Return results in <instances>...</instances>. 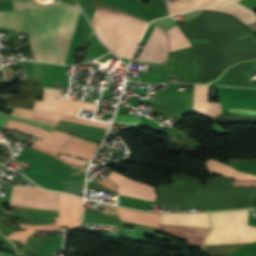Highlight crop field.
<instances>
[{
    "label": "crop field",
    "mask_w": 256,
    "mask_h": 256,
    "mask_svg": "<svg viewBox=\"0 0 256 256\" xmlns=\"http://www.w3.org/2000/svg\"><path fill=\"white\" fill-rule=\"evenodd\" d=\"M251 163L256 164V159L249 160Z\"/></svg>",
    "instance_id": "obj_24"
},
{
    "label": "crop field",
    "mask_w": 256,
    "mask_h": 256,
    "mask_svg": "<svg viewBox=\"0 0 256 256\" xmlns=\"http://www.w3.org/2000/svg\"><path fill=\"white\" fill-rule=\"evenodd\" d=\"M168 55V35L155 26L143 48L138 63L158 64L165 62Z\"/></svg>",
    "instance_id": "obj_6"
},
{
    "label": "crop field",
    "mask_w": 256,
    "mask_h": 256,
    "mask_svg": "<svg viewBox=\"0 0 256 256\" xmlns=\"http://www.w3.org/2000/svg\"><path fill=\"white\" fill-rule=\"evenodd\" d=\"M140 117L121 116L117 115L114 123H125V124H138Z\"/></svg>",
    "instance_id": "obj_21"
},
{
    "label": "crop field",
    "mask_w": 256,
    "mask_h": 256,
    "mask_svg": "<svg viewBox=\"0 0 256 256\" xmlns=\"http://www.w3.org/2000/svg\"><path fill=\"white\" fill-rule=\"evenodd\" d=\"M41 94V81L26 80L20 92L15 95L2 94V99L12 107L33 109L35 97Z\"/></svg>",
    "instance_id": "obj_7"
},
{
    "label": "crop field",
    "mask_w": 256,
    "mask_h": 256,
    "mask_svg": "<svg viewBox=\"0 0 256 256\" xmlns=\"http://www.w3.org/2000/svg\"><path fill=\"white\" fill-rule=\"evenodd\" d=\"M160 223L210 228L208 213L162 214Z\"/></svg>",
    "instance_id": "obj_13"
},
{
    "label": "crop field",
    "mask_w": 256,
    "mask_h": 256,
    "mask_svg": "<svg viewBox=\"0 0 256 256\" xmlns=\"http://www.w3.org/2000/svg\"><path fill=\"white\" fill-rule=\"evenodd\" d=\"M248 210L211 213L212 230L205 244L256 240V227L247 225Z\"/></svg>",
    "instance_id": "obj_4"
},
{
    "label": "crop field",
    "mask_w": 256,
    "mask_h": 256,
    "mask_svg": "<svg viewBox=\"0 0 256 256\" xmlns=\"http://www.w3.org/2000/svg\"><path fill=\"white\" fill-rule=\"evenodd\" d=\"M214 0H179L169 4L170 15L181 14L212 3Z\"/></svg>",
    "instance_id": "obj_17"
},
{
    "label": "crop field",
    "mask_w": 256,
    "mask_h": 256,
    "mask_svg": "<svg viewBox=\"0 0 256 256\" xmlns=\"http://www.w3.org/2000/svg\"><path fill=\"white\" fill-rule=\"evenodd\" d=\"M82 200L78 197L60 193L59 197V223L67 225L71 230L77 225L81 213Z\"/></svg>",
    "instance_id": "obj_8"
},
{
    "label": "crop field",
    "mask_w": 256,
    "mask_h": 256,
    "mask_svg": "<svg viewBox=\"0 0 256 256\" xmlns=\"http://www.w3.org/2000/svg\"><path fill=\"white\" fill-rule=\"evenodd\" d=\"M106 177L110 178L111 180L117 183L119 194L152 200V201H154L155 199V193H154L153 187L132 181L115 172H112Z\"/></svg>",
    "instance_id": "obj_9"
},
{
    "label": "crop field",
    "mask_w": 256,
    "mask_h": 256,
    "mask_svg": "<svg viewBox=\"0 0 256 256\" xmlns=\"http://www.w3.org/2000/svg\"><path fill=\"white\" fill-rule=\"evenodd\" d=\"M118 214L122 221L144 224L156 227L161 214L137 212L117 207Z\"/></svg>",
    "instance_id": "obj_15"
},
{
    "label": "crop field",
    "mask_w": 256,
    "mask_h": 256,
    "mask_svg": "<svg viewBox=\"0 0 256 256\" xmlns=\"http://www.w3.org/2000/svg\"><path fill=\"white\" fill-rule=\"evenodd\" d=\"M255 64L256 62H243L232 66L221 85L246 87Z\"/></svg>",
    "instance_id": "obj_14"
},
{
    "label": "crop field",
    "mask_w": 256,
    "mask_h": 256,
    "mask_svg": "<svg viewBox=\"0 0 256 256\" xmlns=\"http://www.w3.org/2000/svg\"><path fill=\"white\" fill-rule=\"evenodd\" d=\"M7 120H18V121H21V122H24V123H27L30 125L45 128L49 131H51L54 128V126H51V125H47L44 123H40V122L28 120V119L16 118L11 115H6V114H3L0 112V127H5Z\"/></svg>",
    "instance_id": "obj_19"
},
{
    "label": "crop field",
    "mask_w": 256,
    "mask_h": 256,
    "mask_svg": "<svg viewBox=\"0 0 256 256\" xmlns=\"http://www.w3.org/2000/svg\"><path fill=\"white\" fill-rule=\"evenodd\" d=\"M238 0H217L213 5L202 8L232 14L245 24L256 21V15L249 9L237 3Z\"/></svg>",
    "instance_id": "obj_12"
},
{
    "label": "crop field",
    "mask_w": 256,
    "mask_h": 256,
    "mask_svg": "<svg viewBox=\"0 0 256 256\" xmlns=\"http://www.w3.org/2000/svg\"><path fill=\"white\" fill-rule=\"evenodd\" d=\"M62 119L75 121V122H79V123H83V124H88V125H92V126H97V127H101V128H105V129H107L108 125H109L106 123H100V122H96V121H92V120H88V119H84V118H80V117L68 116V115H63Z\"/></svg>",
    "instance_id": "obj_20"
},
{
    "label": "crop field",
    "mask_w": 256,
    "mask_h": 256,
    "mask_svg": "<svg viewBox=\"0 0 256 256\" xmlns=\"http://www.w3.org/2000/svg\"><path fill=\"white\" fill-rule=\"evenodd\" d=\"M13 5L14 11H0V27L28 32L34 60L64 64L80 9L20 0H13Z\"/></svg>",
    "instance_id": "obj_1"
},
{
    "label": "crop field",
    "mask_w": 256,
    "mask_h": 256,
    "mask_svg": "<svg viewBox=\"0 0 256 256\" xmlns=\"http://www.w3.org/2000/svg\"><path fill=\"white\" fill-rule=\"evenodd\" d=\"M229 112H234V113L244 114V115H256V111H248V110L229 109Z\"/></svg>",
    "instance_id": "obj_22"
},
{
    "label": "crop field",
    "mask_w": 256,
    "mask_h": 256,
    "mask_svg": "<svg viewBox=\"0 0 256 256\" xmlns=\"http://www.w3.org/2000/svg\"><path fill=\"white\" fill-rule=\"evenodd\" d=\"M6 127L27 132L44 139L43 141L38 140L32 147L52 156L58 157L59 155L60 157L58 158L62 161L78 166L86 164L87 161L67 155H57L56 153L59 151L60 153L90 160L97 148V144L72 137L70 134L54 130L47 132L41 128L33 127L18 121H8Z\"/></svg>",
    "instance_id": "obj_2"
},
{
    "label": "crop field",
    "mask_w": 256,
    "mask_h": 256,
    "mask_svg": "<svg viewBox=\"0 0 256 256\" xmlns=\"http://www.w3.org/2000/svg\"><path fill=\"white\" fill-rule=\"evenodd\" d=\"M21 228L27 229L26 231H17L10 234L7 238L13 240L15 242L25 244L27 236L34 235V230H55L59 229L58 225V217H55V224L51 225H39V226H32V225H25V224H18Z\"/></svg>",
    "instance_id": "obj_16"
},
{
    "label": "crop field",
    "mask_w": 256,
    "mask_h": 256,
    "mask_svg": "<svg viewBox=\"0 0 256 256\" xmlns=\"http://www.w3.org/2000/svg\"><path fill=\"white\" fill-rule=\"evenodd\" d=\"M190 46L191 45L189 44V45L181 46V47H178V48L170 49L169 52L174 51V50H178V49H182V48H186V47H190Z\"/></svg>",
    "instance_id": "obj_23"
},
{
    "label": "crop field",
    "mask_w": 256,
    "mask_h": 256,
    "mask_svg": "<svg viewBox=\"0 0 256 256\" xmlns=\"http://www.w3.org/2000/svg\"><path fill=\"white\" fill-rule=\"evenodd\" d=\"M43 100L36 101L33 111L14 108L12 114L56 126L62 114L76 115L78 108L94 111L95 104L60 97L62 89L43 88Z\"/></svg>",
    "instance_id": "obj_3"
},
{
    "label": "crop field",
    "mask_w": 256,
    "mask_h": 256,
    "mask_svg": "<svg viewBox=\"0 0 256 256\" xmlns=\"http://www.w3.org/2000/svg\"><path fill=\"white\" fill-rule=\"evenodd\" d=\"M157 229L164 230L165 233H168L174 237L189 240L187 246L196 245L203 248V238L210 230L206 228L180 227L171 225H158Z\"/></svg>",
    "instance_id": "obj_11"
},
{
    "label": "crop field",
    "mask_w": 256,
    "mask_h": 256,
    "mask_svg": "<svg viewBox=\"0 0 256 256\" xmlns=\"http://www.w3.org/2000/svg\"><path fill=\"white\" fill-rule=\"evenodd\" d=\"M213 120L224 123H256V116H242L226 113L213 118Z\"/></svg>",
    "instance_id": "obj_18"
},
{
    "label": "crop field",
    "mask_w": 256,
    "mask_h": 256,
    "mask_svg": "<svg viewBox=\"0 0 256 256\" xmlns=\"http://www.w3.org/2000/svg\"><path fill=\"white\" fill-rule=\"evenodd\" d=\"M58 193L38 187L13 186L10 205L58 210Z\"/></svg>",
    "instance_id": "obj_5"
},
{
    "label": "crop field",
    "mask_w": 256,
    "mask_h": 256,
    "mask_svg": "<svg viewBox=\"0 0 256 256\" xmlns=\"http://www.w3.org/2000/svg\"><path fill=\"white\" fill-rule=\"evenodd\" d=\"M210 173L225 175L234 180V186L256 187V176L238 172L231 167L213 159L206 162Z\"/></svg>",
    "instance_id": "obj_10"
}]
</instances>
